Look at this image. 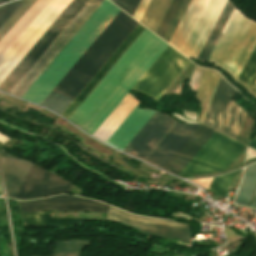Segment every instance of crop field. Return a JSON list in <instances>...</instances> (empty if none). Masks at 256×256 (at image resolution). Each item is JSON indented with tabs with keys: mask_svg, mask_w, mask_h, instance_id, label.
I'll return each mask as SVG.
<instances>
[{
	"mask_svg": "<svg viewBox=\"0 0 256 256\" xmlns=\"http://www.w3.org/2000/svg\"><path fill=\"white\" fill-rule=\"evenodd\" d=\"M167 46L145 29L68 121L92 135ZM189 62L168 46L132 90L158 101Z\"/></svg>",
	"mask_w": 256,
	"mask_h": 256,
	"instance_id": "8a807250",
	"label": "crop field"
},
{
	"mask_svg": "<svg viewBox=\"0 0 256 256\" xmlns=\"http://www.w3.org/2000/svg\"><path fill=\"white\" fill-rule=\"evenodd\" d=\"M138 23L121 10L53 92L74 99ZM51 92L41 106L62 114L72 99Z\"/></svg>",
	"mask_w": 256,
	"mask_h": 256,
	"instance_id": "ac0d7876",
	"label": "crop field"
},
{
	"mask_svg": "<svg viewBox=\"0 0 256 256\" xmlns=\"http://www.w3.org/2000/svg\"><path fill=\"white\" fill-rule=\"evenodd\" d=\"M214 131L200 125L163 170L179 173ZM246 146L215 132L180 174H204L228 169Z\"/></svg>",
	"mask_w": 256,
	"mask_h": 256,
	"instance_id": "34b2d1b8",
	"label": "crop field"
},
{
	"mask_svg": "<svg viewBox=\"0 0 256 256\" xmlns=\"http://www.w3.org/2000/svg\"><path fill=\"white\" fill-rule=\"evenodd\" d=\"M119 10L108 0H104L22 99L40 105Z\"/></svg>",
	"mask_w": 256,
	"mask_h": 256,
	"instance_id": "412701ff",
	"label": "crop field"
},
{
	"mask_svg": "<svg viewBox=\"0 0 256 256\" xmlns=\"http://www.w3.org/2000/svg\"><path fill=\"white\" fill-rule=\"evenodd\" d=\"M226 1L227 0H208L207 2V0H192L170 41L180 49L206 2L207 4L185 41L182 49H178L172 43L169 44L184 55L197 58Z\"/></svg>",
	"mask_w": 256,
	"mask_h": 256,
	"instance_id": "f4fd0767",
	"label": "crop field"
},
{
	"mask_svg": "<svg viewBox=\"0 0 256 256\" xmlns=\"http://www.w3.org/2000/svg\"><path fill=\"white\" fill-rule=\"evenodd\" d=\"M255 45L256 23L236 9L210 61L221 65L237 80Z\"/></svg>",
	"mask_w": 256,
	"mask_h": 256,
	"instance_id": "dd49c442",
	"label": "crop field"
},
{
	"mask_svg": "<svg viewBox=\"0 0 256 256\" xmlns=\"http://www.w3.org/2000/svg\"><path fill=\"white\" fill-rule=\"evenodd\" d=\"M71 0H50L49 4L15 40L0 59V83L35 44Z\"/></svg>",
	"mask_w": 256,
	"mask_h": 256,
	"instance_id": "e52e79f7",
	"label": "crop field"
},
{
	"mask_svg": "<svg viewBox=\"0 0 256 256\" xmlns=\"http://www.w3.org/2000/svg\"><path fill=\"white\" fill-rule=\"evenodd\" d=\"M102 1L103 0H88V2L82 7V9L59 34V36L53 41V43L47 48V50L24 75V77L12 89L10 94L16 95L20 98L23 96L28 88L34 83V81L40 76L45 68L51 63V61L57 56L62 48L74 36V34L91 16L96 8L102 3Z\"/></svg>",
	"mask_w": 256,
	"mask_h": 256,
	"instance_id": "d8731c3e",
	"label": "crop field"
},
{
	"mask_svg": "<svg viewBox=\"0 0 256 256\" xmlns=\"http://www.w3.org/2000/svg\"><path fill=\"white\" fill-rule=\"evenodd\" d=\"M228 84L220 77L203 124L235 139L246 111L231 101L236 90Z\"/></svg>",
	"mask_w": 256,
	"mask_h": 256,
	"instance_id": "5a996713",
	"label": "crop field"
},
{
	"mask_svg": "<svg viewBox=\"0 0 256 256\" xmlns=\"http://www.w3.org/2000/svg\"><path fill=\"white\" fill-rule=\"evenodd\" d=\"M86 1L87 0L71 1V3L65 8V10L59 15V17L42 35V37L36 42V44L30 49V51L18 63V65L12 70V72L6 77V79L0 84L1 91L7 93L11 91V89L17 84V82L34 64V62L40 57V55L46 50V48L51 44V42L69 23V21L75 16V14L86 3Z\"/></svg>",
	"mask_w": 256,
	"mask_h": 256,
	"instance_id": "3316defc",
	"label": "crop field"
},
{
	"mask_svg": "<svg viewBox=\"0 0 256 256\" xmlns=\"http://www.w3.org/2000/svg\"><path fill=\"white\" fill-rule=\"evenodd\" d=\"M108 221L120 223L142 234L162 238L180 239L191 243V232L186 223L169 222L132 216L110 207Z\"/></svg>",
	"mask_w": 256,
	"mask_h": 256,
	"instance_id": "28ad6ade",
	"label": "crop field"
},
{
	"mask_svg": "<svg viewBox=\"0 0 256 256\" xmlns=\"http://www.w3.org/2000/svg\"><path fill=\"white\" fill-rule=\"evenodd\" d=\"M177 122L155 112L123 152L146 160Z\"/></svg>",
	"mask_w": 256,
	"mask_h": 256,
	"instance_id": "d1516ede",
	"label": "crop field"
},
{
	"mask_svg": "<svg viewBox=\"0 0 256 256\" xmlns=\"http://www.w3.org/2000/svg\"><path fill=\"white\" fill-rule=\"evenodd\" d=\"M22 211H93L108 212V205L69 195H59L29 202H19Z\"/></svg>",
	"mask_w": 256,
	"mask_h": 256,
	"instance_id": "22f410ed",
	"label": "crop field"
},
{
	"mask_svg": "<svg viewBox=\"0 0 256 256\" xmlns=\"http://www.w3.org/2000/svg\"><path fill=\"white\" fill-rule=\"evenodd\" d=\"M69 185L60 177L33 164L18 191L16 199L32 198L59 191L67 192Z\"/></svg>",
	"mask_w": 256,
	"mask_h": 256,
	"instance_id": "cbeb9de0",
	"label": "crop field"
},
{
	"mask_svg": "<svg viewBox=\"0 0 256 256\" xmlns=\"http://www.w3.org/2000/svg\"><path fill=\"white\" fill-rule=\"evenodd\" d=\"M198 126L197 124L177 123L146 162L162 169Z\"/></svg>",
	"mask_w": 256,
	"mask_h": 256,
	"instance_id": "5142ce71",
	"label": "crop field"
},
{
	"mask_svg": "<svg viewBox=\"0 0 256 256\" xmlns=\"http://www.w3.org/2000/svg\"><path fill=\"white\" fill-rule=\"evenodd\" d=\"M143 28L141 25H137L131 34L125 39L120 47L114 52V54L108 59L103 67L97 72L92 80L86 85L81 93L75 98V100L69 105V107L61 115L68 120V118L74 113V111L80 106L85 98L91 93V91L97 86V84L103 79V77L109 72L114 64L120 59L125 51L131 46V44L142 33Z\"/></svg>",
	"mask_w": 256,
	"mask_h": 256,
	"instance_id": "d9b57169",
	"label": "crop field"
},
{
	"mask_svg": "<svg viewBox=\"0 0 256 256\" xmlns=\"http://www.w3.org/2000/svg\"><path fill=\"white\" fill-rule=\"evenodd\" d=\"M137 107L131 112V114L125 119L120 127L108 139L106 144L122 151L124 147L129 143V141L135 136V134L141 129V127L154 113L152 111L137 109Z\"/></svg>",
	"mask_w": 256,
	"mask_h": 256,
	"instance_id": "733c2abd",
	"label": "crop field"
},
{
	"mask_svg": "<svg viewBox=\"0 0 256 256\" xmlns=\"http://www.w3.org/2000/svg\"><path fill=\"white\" fill-rule=\"evenodd\" d=\"M0 157L5 171L7 195L15 198L21 182L33 163L8 156L3 150L0 152Z\"/></svg>",
	"mask_w": 256,
	"mask_h": 256,
	"instance_id": "4a817a6b",
	"label": "crop field"
},
{
	"mask_svg": "<svg viewBox=\"0 0 256 256\" xmlns=\"http://www.w3.org/2000/svg\"><path fill=\"white\" fill-rule=\"evenodd\" d=\"M138 103L139 102L128 93L92 136L105 143L108 137L115 131V129L122 123Z\"/></svg>",
	"mask_w": 256,
	"mask_h": 256,
	"instance_id": "bc2a9ffb",
	"label": "crop field"
},
{
	"mask_svg": "<svg viewBox=\"0 0 256 256\" xmlns=\"http://www.w3.org/2000/svg\"><path fill=\"white\" fill-rule=\"evenodd\" d=\"M25 226L32 227H63L83 222L84 219L101 220L102 218H53L49 212H22Z\"/></svg>",
	"mask_w": 256,
	"mask_h": 256,
	"instance_id": "214f88e0",
	"label": "crop field"
},
{
	"mask_svg": "<svg viewBox=\"0 0 256 256\" xmlns=\"http://www.w3.org/2000/svg\"><path fill=\"white\" fill-rule=\"evenodd\" d=\"M49 0H37L23 17L13 26V28L0 41V58L14 40L33 21V19L48 4Z\"/></svg>",
	"mask_w": 256,
	"mask_h": 256,
	"instance_id": "92a150f3",
	"label": "crop field"
},
{
	"mask_svg": "<svg viewBox=\"0 0 256 256\" xmlns=\"http://www.w3.org/2000/svg\"><path fill=\"white\" fill-rule=\"evenodd\" d=\"M190 1L191 0H174L163 19L156 34L168 43L178 25L177 23L180 22Z\"/></svg>",
	"mask_w": 256,
	"mask_h": 256,
	"instance_id": "dafd665d",
	"label": "crop field"
},
{
	"mask_svg": "<svg viewBox=\"0 0 256 256\" xmlns=\"http://www.w3.org/2000/svg\"><path fill=\"white\" fill-rule=\"evenodd\" d=\"M219 77L220 75L218 72L209 69L205 70L199 89L195 96L196 99L201 102L199 107H201L202 110L198 120L200 123H203Z\"/></svg>",
	"mask_w": 256,
	"mask_h": 256,
	"instance_id": "00972430",
	"label": "crop field"
},
{
	"mask_svg": "<svg viewBox=\"0 0 256 256\" xmlns=\"http://www.w3.org/2000/svg\"><path fill=\"white\" fill-rule=\"evenodd\" d=\"M172 1L152 0L140 23L156 33Z\"/></svg>",
	"mask_w": 256,
	"mask_h": 256,
	"instance_id": "a9b5d70f",
	"label": "crop field"
},
{
	"mask_svg": "<svg viewBox=\"0 0 256 256\" xmlns=\"http://www.w3.org/2000/svg\"><path fill=\"white\" fill-rule=\"evenodd\" d=\"M233 7H234L233 4L228 0L222 13L219 16L214 28L212 29L206 43L204 44V46L198 56V59L206 61L212 47H213L214 43L216 42L223 26L225 25Z\"/></svg>",
	"mask_w": 256,
	"mask_h": 256,
	"instance_id": "4177f3b9",
	"label": "crop field"
},
{
	"mask_svg": "<svg viewBox=\"0 0 256 256\" xmlns=\"http://www.w3.org/2000/svg\"><path fill=\"white\" fill-rule=\"evenodd\" d=\"M256 187V163L247 167L243 183L239 189L235 203L248 206Z\"/></svg>",
	"mask_w": 256,
	"mask_h": 256,
	"instance_id": "730fd06b",
	"label": "crop field"
},
{
	"mask_svg": "<svg viewBox=\"0 0 256 256\" xmlns=\"http://www.w3.org/2000/svg\"><path fill=\"white\" fill-rule=\"evenodd\" d=\"M91 240L55 241L52 256H81L82 251L89 247Z\"/></svg>",
	"mask_w": 256,
	"mask_h": 256,
	"instance_id": "eef30255",
	"label": "crop field"
},
{
	"mask_svg": "<svg viewBox=\"0 0 256 256\" xmlns=\"http://www.w3.org/2000/svg\"><path fill=\"white\" fill-rule=\"evenodd\" d=\"M255 80H256V47L254 51H252L237 81L240 82L242 85H244L250 92Z\"/></svg>",
	"mask_w": 256,
	"mask_h": 256,
	"instance_id": "ae1a2a85",
	"label": "crop field"
},
{
	"mask_svg": "<svg viewBox=\"0 0 256 256\" xmlns=\"http://www.w3.org/2000/svg\"><path fill=\"white\" fill-rule=\"evenodd\" d=\"M239 172L240 170H237L231 174H227L221 177H215L209 188V191H212L224 197L232 183V180L237 176Z\"/></svg>",
	"mask_w": 256,
	"mask_h": 256,
	"instance_id": "d3111659",
	"label": "crop field"
},
{
	"mask_svg": "<svg viewBox=\"0 0 256 256\" xmlns=\"http://www.w3.org/2000/svg\"><path fill=\"white\" fill-rule=\"evenodd\" d=\"M36 0H26L23 5L14 13V15L0 29V40L12 28V26L22 17V15L31 7Z\"/></svg>",
	"mask_w": 256,
	"mask_h": 256,
	"instance_id": "750c4746",
	"label": "crop field"
},
{
	"mask_svg": "<svg viewBox=\"0 0 256 256\" xmlns=\"http://www.w3.org/2000/svg\"><path fill=\"white\" fill-rule=\"evenodd\" d=\"M25 0L9 3L3 7H0V27L5 23V21L18 9V7Z\"/></svg>",
	"mask_w": 256,
	"mask_h": 256,
	"instance_id": "bd1437ed",
	"label": "crop field"
},
{
	"mask_svg": "<svg viewBox=\"0 0 256 256\" xmlns=\"http://www.w3.org/2000/svg\"><path fill=\"white\" fill-rule=\"evenodd\" d=\"M112 2L133 17L141 0H114Z\"/></svg>",
	"mask_w": 256,
	"mask_h": 256,
	"instance_id": "1d83c4d3",
	"label": "crop field"
},
{
	"mask_svg": "<svg viewBox=\"0 0 256 256\" xmlns=\"http://www.w3.org/2000/svg\"><path fill=\"white\" fill-rule=\"evenodd\" d=\"M151 0H142L141 4L139 5L135 15L133 18H135L137 21L140 22L146 8L148 7Z\"/></svg>",
	"mask_w": 256,
	"mask_h": 256,
	"instance_id": "120bbe31",
	"label": "crop field"
},
{
	"mask_svg": "<svg viewBox=\"0 0 256 256\" xmlns=\"http://www.w3.org/2000/svg\"><path fill=\"white\" fill-rule=\"evenodd\" d=\"M248 146L256 150V136L253 138Z\"/></svg>",
	"mask_w": 256,
	"mask_h": 256,
	"instance_id": "d32e631a",
	"label": "crop field"
},
{
	"mask_svg": "<svg viewBox=\"0 0 256 256\" xmlns=\"http://www.w3.org/2000/svg\"><path fill=\"white\" fill-rule=\"evenodd\" d=\"M250 207L256 208V191H255V194H254V197H253V200H252V203H251Z\"/></svg>",
	"mask_w": 256,
	"mask_h": 256,
	"instance_id": "5866460e",
	"label": "crop field"
},
{
	"mask_svg": "<svg viewBox=\"0 0 256 256\" xmlns=\"http://www.w3.org/2000/svg\"><path fill=\"white\" fill-rule=\"evenodd\" d=\"M251 93H253L256 96V82L251 90Z\"/></svg>",
	"mask_w": 256,
	"mask_h": 256,
	"instance_id": "028f5c9d",
	"label": "crop field"
},
{
	"mask_svg": "<svg viewBox=\"0 0 256 256\" xmlns=\"http://www.w3.org/2000/svg\"><path fill=\"white\" fill-rule=\"evenodd\" d=\"M5 1H8V0H0V3H1V2H5Z\"/></svg>",
	"mask_w": 256,
	"mask_h": 256,
	"instance_id": "e1f06a70",
	"label": "crop field"
},
{
	"mask_svg": "<svg viewBox=\"0 0 256 256\" xmlns=\"http://www.w3.org/2000/svg\"><path fill=\"white\" fill-rule=\"evenodd\" d=\"M0 196H1V194H0Z\"/></svg>",
	"mask_w": 256,
	"mask_h": 256,
	"instance_id": "0bd39190",
	"label": "crop field"
}]
</instances>
